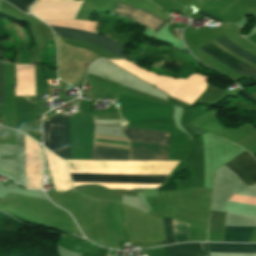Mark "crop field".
I'll list each match as a JSON object with an SVG mask.
<instances>
[{
	"label": "crop field",
	"instance_id": "crop-field-1",
	"mask_svg": "<svg viewBox=\"0 0 256 256\" xmlns=\"http://www.w3.org/2000/svg\"><path fill=\"white\" fill-rule=\"evenodd\" d=\"M128 137L97 135L94 159L158 160L160 132L125 127Z\"/></svg>",
	"mask_w": 256,
	"mask_h": 256
},
{
	"label": "crop field",
	"instance_id": "crop-field-2",
	"mask_svg": "<svg viewBox=\"0 0 256 256\" xmlns=\"http://www.w3.org/2000/svg\"><path fill=\"white\" fill-rule=\"evenodd\" d=\"M121 68L137 76L143 81L155 86L168 94L174 100L190 105L206 88L207 77L191 75L188 80L171 79L149 73L142 68L132 65L124 60H110Z\"/></svg>",
	"mask_w": 256,
	"mask_h": 256
},
{
	"label": "crop field",
	"instance_id": "crop-field-3",
	"mask_svg": "<svg viewBox=\"0 0 256 256\" xmlns=\"http://www.w3.org/2000/svg\"><path fill=\"white\" fill-rule=\"evenodd\" d=\"M73 182H165L169 175L70 174ZM98 184L111 189L157 188L163 183H73ZM100 186V187H101Z\"/></svg>",
	"mask_w": 256,
	"mask_h": 256
},
{
	"label": "crop field",
	"instance_id": "crop-field-4",
	"mask_svg": "<svg viewBox=\"0 0 256 256\" xmlns=\"http://www.w3.org/2000/svg\"><path fill=\"white\" fill-rule=\"evenodd\" d=\"M214 41L218 42L219 44L226 47L230 51L234 52L235 54L241 56L242 58H244L247 61L256 65V56L239 49L237 46H235L233 43H231L226 36L216 39ZM199 49L201 51H203L204 53H206L211 58H213L214 60L218 61L219 63H221L224 66L228 67L229 69L233 70L234 72H236L240 75L256 78V70L255 69L244 64L243 62L239 61L238 59L232 57L231 55L227 54L226 52L220 50L219 48L215 47L214 45L209 43Z\"/></svg>",
	"mask_w": 256,
	"mask_h": 256
},
{
	"label": "crop field",
	"instance_id": "crop-field-5",
	"mask_svg": "<svg viewBox=\"0 0 256 256\" xmlns=\"http://www.w3.org/2000/svg\"><path fill=\"white\" fill-rule=\"evenodd\" d=\"M68 118L56 115L43 122L44 146L63 159H70Z\"/></svg>",
	"mask_w": 256,
	"mask_h": 256
},
{
	"label": "crop field",
	"instance_id": "crop-field-6",
	"mask_svg": "<svg viewBox=\"0 0 256 256\" xmlns=\"http://www.w3.org/2000/svg\"><path fill=\"white\" fill-rule=\"evenodd\" d=\"M39 1V0H38ZM37 1V2H38ZM37 2L35 4H37ZM54 32L58 33L59 36L63 37H70V38H76L81 39L85 41L92 42L94 44H97L101 47H104L117 55L126 58V55L122 53L124 46L107 39L105 37H102L95 33H89L84 31H78V30H72V29H65V28H58V27H52L50 26Z\"/></svg>",
	"mask_w": 256,
	"mask_h": 256
},
{
	"label": "crop field",
	"instance_id": "crop-field-7",
	"mask_svg": "<svg viewBox=\"0 0 256 256\" xmlns=\"http://www.w3.org/2000/svg\"><path fill=\"white\" fill-rule=\"evenodd\" d=\"M111 12L131 18L149 26L150 32L153 34H155L166 23L154 15L121 3H118Z\"/></svg>",
	"mask_w": 256,
	"mask_h": 256
},
{
	"label": "crop field",
	"instance_id": "crop-field-8",
	"mask_svg": "<svg viewBox=\"0 0 256 256\" xmlns=\"http://www.w3.org/2000/svg\"><path fill=\"white\" fill-rule=\"evenodd\" d=\"M163 222L166 244L174 243V240L175 243L187 241L189 225L180 223L176 220H172L174 234L173 240L171 219L163 218Z\"/></svg>",
	"mask_w": 256,
	"mask_h": 256
},
{
	"label": "crop field",
	"instance_id": "crop-field-9",
	"mask_svg": "<svg viewBox=\"0 0 256 256\" xmlns=\"http://www.w3.org/2000/svg\"><path fill=\"white\" fill-rule=\"evenodd\" d=\"M203 248L204 256H209L206 244H203ZM167 252L168 256H203L200 243L169 246Z\"/></svg>",
	"mask_w": 256,
	"mask_h": 256
},
{
	"label": "crop field",
	"instance_id": "crop-field-10",
	"mask_svg": "<svg viewBox=\"0 0 256 256\" xmlns=\"http://www.w3.org/2000/svg\"><path fill=\"white\" fill-rule=\"evenodd\" d=\"M210 252H256V244L207 243Z\"/></svg>",
	"mask_w": 256,
	"mask_h": 256
},
{
	"label": "crop field",
	"instance_id": "crop-field-11",
	"mask_svg": "<svg viewBox=\"0 0 256 256\" xmlns=\"http://www.w3.org/2000/svg\"><path fill=\"white\" fill-rule=\"evenodd\" d=\"M18 184L25 188L24 134L18 132L17 138Z\"/></svg>",
	"mask_w": 256,
	"mask_h": 256
},
{
	"label": "crop field",
	"instance_id": "crop-field-12",
	"mask_svg": "<svg viewBox=\"0 0 256 256\" xmlns=\"http://www.w3.org/2000/svg\"><path fill=\"white\" fill-rule=\"evenodd\" d=\"M6 1L13 4L20 11L29 14L30 13L28 10L29 5L32 4L35 0H6Z\"/></svg>",
	"mask_w": 256,
	"mask_h": 256
},
{
	"label": "crop field",
	"instance_id": "crop-field-13",
	"mask_svg": "<svg viewBox=\"0 0 256 256\" xmlns=\"http://www.w3.org/2000/svg\"><path fill=\"white\" fill-rule=\"evenodd\" d=\"M0 104H4V100H3L2 63H0Z\"/></svg>",
	"mask_w": 256,
	"mask_h": 256
},
{
	"label": "crop field",
	"instance_id": "crop-field-14",
	"mask_svg": "<svg viewBox=\"0 0 256 256\" xmlns=\"http://www.w3.org/2000/svg\"><path fill=\"white\" fill-rule=\"evenodd\" d=\"M197 13H199V14H201V15H203V16H205V17H207V18H209L213 21L220 22V23H226V22H224V21H222V20H220L216 17H213V16H211V15H209V14H207V13L201 11V10L197 11Z\"/></svg>",
	"mask_w": 256,
	"mask_h": 256
},
{
	"label": "crop field",
	"instance_id": "crop-field-15",
	"mask_svg": "<svg viewBox=\"0 0 256 256\" xmlns=\"http://www.w3.org/2000/svg\"><path fill=\"white\" fill-rule=\"evenodd\" d=\"M252 156H254V157L256 158V154H254V155H252Z\"/></svg>",
	"mask_w": 256,
	"mask_h": 256
}]
</instances>
